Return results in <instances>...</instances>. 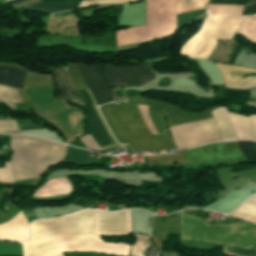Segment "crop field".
Masks as SVG:
<instances>
[{
    "instance_id": "crop-field-25",
    "label": "crop field",
    "mask_w": 256,
    "mask_h": 256,
    "mask_svg": "<svg viewBox=\"0 0 256 256\" xmlns=\"http://www.w3.org/2000/svg\"><path fill=\"white\" fill-rule=\"evenodd\" d=\"M136 243L132 245L130 253L134 256H143L141 253L149 246L147 236L136 235Z\"/></svg>"
},
{
    "instance_id": "crop-field-16",
    "label": "crop field",
    "mask_w": 256,
    "mask_h": 256,
    "mask_svg": "<svg viewBox=\"0 0 256 256\" xmlns=\"http://www.w3.org/2000/svg\"><path fill=\"white\" fill-rule=\"evenodd\" d=\"M211 114L220 129L222 141L236 140L227 110L218 108L212 111Z\"/></svg>"
},
{
    "instance_id": "crop-field-1",
    "label": "crop field",
    "mask_w": 256,
    "mask_h": 256,
    "mask_svg": "<svg viewBox=\"0 0 256 256\" xmlns=\"http://www.w3.org/2000/svg\"><path fill=\"white\" fill-rule=\"evenodd\" d=\"M66 234L129 235L130 210H84L58 219L36 221L31 225V239ZM129 248V245L104 242L100 240V236L91 235L39 238L23 243L24 256H51L61 252H97L128 256Z\"/></svg>"
},
{
    "instance_id": "crop-field-37",
    "label": "crop field",
    "mask_w": 256,
    "mask_h": 256,
    "mask_svg": "<svg viewBox=\"0 0 256 256\" xmlns=\"http://www.w3.org/2000/svg\"><path fill=\"white\" fill-rule=\"evenodd\" d=\"M55 256H63V254L61 253V254H58V255H55Z\"/></svg>"
},
{
    "instance_id": "crop-field-31",
    "label": "crop field",
    "mask_w": 256,
    "mask_h": 256,
    "mask_svg": "<svg viewBox=\"0 0 256 256\" xmlns=\"http://www.w3.org/2000/svg\"><path fill=\"white\" fill-rule=\"evenodd\" d=\"M135 0H89L83 2L79 8L86 7L94 4H111V3H124V2H130Z\"/></svg>"
},
{
    "instance_id": "crop-field-6",
    "label": "crop field",
    "mask_w": 256,
    "mask_h": 256,
    "mask_svg": "<svg viewBox=\"0 0 256 256\" xmlns=\"http://www.w3.org/2000/svg\"><path fill=\"white\" fill-rule=\"evenodd\" d=\"M181 153L188 165L245 161L236 142L209 144Z\"/></svg>"
},
{
    "instance_id": "crop-field-29",
    "label": "crop field",
    "mask_w": 256,
    "mask_h": 256,
    "mask_svg": "<svg viewBox=\"0 0 256 256\" xmlns=\"http://www.w3.org/2000/svg\"><path fill=\"white\" fill-rule=\"evenodd\" d=\"M5 167L0 168V182L9 183L13 182L11 165L9 162H3Z\"/></svg>"
},
{
    "instance_id": "crop-field-4",
    "label": "crop field",
    "mask_w": 256,
    "mask_h": 256,
    "mask_svg": "<svg viewBox=\"0 0 256 256\" xmlns=\"http://www.w3.org/2000/svg\"><path fill=\"white\" fill-rule=\"evenodd\" d=\"M176 29V0H146V26L116 30L117 46L171 35Z\"/></svg>"
},
{
    "instance_id": "crop-field-34",
    "label": "crop field",
    "mask_w": 256,
    "mask_h": 256,
    "mask_svg": "<svg viewBox=\"0 0 256 256\" xmlns=\"http://www.w3.org/2000/svg\"><path fill=\"white\" fill-rule=\"evenodd\" d=\"M18 126H23V125H36L31 119H24V120H16Z\"/></svg>"
},
{
    "instance_id": "crop-field-23",
    "label": "crop field",
    "mask_w": 256,
    "mask_h": 256,
    "mask_svg": "<svg viewBox=\"0 0 256 256\" xmlns=\"http://www.w3.org/2000/svg\"><path fill=\"white\" fill-rule=\"evenodd\" d=\"M0 99L10 103L22 102L16 89L2 85H0Z\"/></svg>"
},
{
    "instance_id": "crop-field-13",
    "label": "crop field",
    "mask_w": 256,
    "mask_h": 256,
    "mask_svg": "<svg viewBox=\"0 0 256 256\" xmlns=\"http://www.w3.org/2000/svg\"><path fill=\"white\" fill-rule=\"evenodd\" d=\"M28 238V223L22 212H20L11 221L0 225V239L25 241Z\"/></svg>"
},
{
    "instance_id": "crop-field-32",
    "label": "crop field",
    "mask_w": 256,
    "mask_h": 256,
    "mask_svg": "<svg viewBox=\"0 0 256 256\" xmlns=\"http://www.w3.org/2000/svg\"><path fill=\"white\" fill-rule=\"evenodd\" d=\"M18 131L15 121H0V133Z\"/></svg>"
},
{
    "instance_id": "crop-field-14",
    "label": "crop field",
    "mask_w": 256,
    "mask_h": 256,
    "mask_svg": "<svg viewBox=\"0 0 256 256\" xmlns=\"http://www.w3.org/2000/svg\"><path fill=\"white\" fill-rule=\"evenodd\" d=\"M230 118L237 140L251 139L256 141V115L246 117L230 114Z\"/></svg>"
},
{
    "instance_id": "crop-field-27",
    "label": "crop field",
    "mask_w": 256,
    "mask_h": 256,
    "mask_svg": "<svg viewBox=\"0 0 256 256\" xmlns=\"http://www.w3.org/2000/svg\"><path fill=\"white\" fill-rule=\"evenodd\" d=\"M138 108H139V111L141 113V116L147 126V128L149 129L150 133L151 134H155V135H158L157 132H156V129L148 115V106H144V105H137Z\"/></svg>"
},
{
    "instance_id": "crop-field-26",
    "label": "crop field",
    "mask_w": 256,
    "mask_h": 256,
    "mask_svg": "<svg viewBox=\"0 0 256 256\" xmlns=\"http://www.w3.org/2000/svg\"><path fill=\"white\" fill-rule=\"evenodd\" d=\"M159 135L169 136L163 114H150Z\"/></svg>"
},
{
    "instance_id": "crop-field-12",
    "label": "crop field",
    "mask_w": 256,
    "mask_h": 256,
    "mask_svg": "<svg viewBox=\"0 0 256 256\" xmlns=\"http://www.w3.org/2000/svg\"><path fill=\"white\" fill-rule=\"evenodd\" d=\"M52 79L58 97L71 100L84 106L83 101L77 92V89L73 85L66 68L53 71Z\"/></svg>"
},
{
    "instance_id": "crop-field-3",
    "label": "crop field",
    "mask_w": 256,
    "mask_h": 256,
    "mask_svg": "<svg viewBox=\"0 0 256 256\" xmlns=\"http://www.w3.org/2000/svg\"><path fill=\"white\" fill-rule=\"evenodd\" d=\"M181 239L250 249L256 246V226L238 222L209 226L206 222L180 213Z\"/></svg>"
},
{
    "instance_id": "crop-field-30",
    "label": "crop field",
    "mask_w": 256,
    "mask_h": 256,
    "mask_svg": "<svg viewBox=\"0 0 256 256\" xmlns=\"http://www.w3.org/2000/svg\"><path fill=\"white\" fill-rule=\"evenodd\" d=\"M222 252L230 253V254H236V255H242V256H256L255 251H249V250H243V249H237V248H230V247H224V246H222Z\"/></svg>"
},
{
    "instance_id": "crop-field-18",
    "label": "crop field",
    "mask_w": 256,
    "mask_h": 256,
    "mask_svg": "<svg viewBox=\"0 0 256 256\" xmlns=\"http://www.w3.org/2000/svg\"><path fill=\"white\" fill-rule=\"evenodd\" d=\"M79 1H64V2H46L41 1L31 5H27V10H43L50 13L64 11L72 8H77Z\"/></svg>"
},
{
    "instance_id": "crop-field-36",
    "label": "crop field",
    "mask_w": 256,
    "mask_h": 256,
    "mask_svg": "<svg viewBox=\"0 0 256 256\" xmlns=\"http://www.w3.org/2000/svg\"><path fill=\"white\" fill-rule=\"evenodd\" d=\"M20 131L22 130H31V129H40L38 126H32V127H19Z\"/></svg>"
},
{
    "instance_id": "crop-field-35",
    "label": "crop field",
    "mask_w": 256,
    "mask_h": 256,
    "mask_svg": "<svg viewBox=\"0 0 256 256\" xmlns=\"http://www.w3.org/2000/svg\"><path fill=\"white\" fill-rule=\"evenodd\" d=\"M0 246H21L19 243H8L4 241H0Z\"/></svg>"
},
{
    "instance_id": "crop-field-8",
    "label": "crop field",
    "mask_w": 256,
    "mask_h": 256,
    "mask_svg": "<svg viewBox=\"0 0 256 256\" xmlns=\"http://www.w3.org/2000/svg\"><path fill=\"white\" fill-rule=\"evenodd\" d=\"M86 108L89 131L102 150L119 146L111 136L88 89L79 91Z\"/></svg>"
},
{
    "instance_id": "crop-field-15",
    "label": "crop field",
    "mask_w": 256,
    "mask_h": 256,
    "mask_svg": "<svg viewBox=\"0 0 256 256\" xmlns=\"http://www.w3.org/2000/svg\"><path fill=\"white\" fill-rule=\"evenodd\" d=\"M71 190L70 183L66 178L49 180L41 187L34 197H49L68 194Z\"/></svg>"
},
{
    "instance_id": "crop-field-21",
    "label": "crop field",
    "mask_w": 256,
    "mask_h": 256,
    "mask_svg": "<svg viewBox=\"0 0 256 256\" xmlns=\"http://www.w3.org/2000/svg\"><path fill=\"white\" fill-rule=\"evenodd\" d=\"M210 4L245 5L241 15L256 14V0H211Z\"/></svg>"
},
{
    "instance_id": "crop-field-7",
    "label": "crop field",
    "mask_w": 256,
    "mask_h": 256,
    "mask_svg": "<svg viewBox=\"0 0 256 256\" xmlns=\"http://www.w3.org/2000/svg\"><path fill=\"white\" fill-rule=\"evenodd\" d=\"M224 16L207 15L200 31L187 41L180 54L207 60L218 40L211 38Z\"/></svg>"
},
{
    "instance_id": "crop-field-9",
    "label": "crop field",
    "mask_w": 256,
    "mask_h": 256,
    "mask_svg": "<svg viewBox=\"0 0 256 256\" xmlns=\"http://www.w3.org/2000/svg\"><path fill=\"white\" fill-rule=\"evenodd\" d=\"M105 73L110 86H138L155 78L147 65L135 67L105 65Z\"/></svg>"
},
{
    "instance_id": "crop-field-20",
    "label": "crop field",
    "mask_w": 256,
    "mask_h": 256,
    "mask_svg": "<svg viewBox=\"0 0 256 256\" xmlns=\"http://www.w3.org/2000/svg\"><path fill=\"white\" fill-rule=\"evenodd\" d=\"M228 216L256 224V198H250L241 207Z\"/></svg>"
},
{
    "instance_id": "crop-field-24",
    "label": "crop field",
    "mask_w": 256,
    "mask_h": 256,
    "mask_svg": "<svg viewBox=\"0 0 256 256\" xmlns=\"http://www.w3.org/2000/svg\"><path fill=\"white\" fill-rule=\"evenodd\" d=\"M237 143L248 162L256 160V143L247 141H240Z\"/></svg>"
},
{
    "instance_id": "crop-field-28",
    "label": "crop field",
    "mask_w": 256,
    "mask_h": 256,
    "mask_svg": "<svg viewBox=\"0 0 256 256\" xmlns=\"http://www.w3.org/2000/svg\"><path fill=\"white\" fill-rule=\"evenodd\" d=\"M84 158H85V151L71 148V147L69 148L68 162L84 164Z\"/></svg>"
},
{
    "instance_id": "crop-field-22",
    "label": "crop field",
    "mask_w": 256,
    "mask_h": 256,
    "mask_svg": "<svg viewBox=\"0 0 256 256\" xmlns=\"http://www.w3.org/2000/svg\"><path fill=\"white\" fill-rule=\"evenodd\" d=\"M209 1L210 0H189L186 5V0H177V14L207 7Z\"/></svg>"
},
{
    "instance_id": "crop-field-2",
    "label": "crop field",
    "mask_w": 256,
    "mask_h": 256,
    "mask_svg": "<svg viewBox=\"0 0 256 256\" xmlns=\"http://www.w3.org/2000/svg\"><path fill=\"white\" fill-rule=\"evenodd\" d=\"M112 106H101L100 111L113 136L120 143L127 141L134 152L174 147L171 140L149 134L135 102Z\"/></svg>"
},
{
    "instance_id": "crop-field-10",
    "label": "crop field",
    "mask_w": 256,
    "mask_h": 256,
    "mask_svg": "<svg viewBox=\"0 0 256 256\" xmlns=\"http://www.w3.org/2000/svg\"><path fill=\"white\" fill-rule=\"evenodd\" d=\"M87 83L93 97L98 105L109 102L107 98L113 96V93L106 85L102 76V66H85L75 64Z\"/></svg>"
},
{
    "instance_id": "crop-field-11",
    "label": "crop field",
    "mask_w": 256,
    "mask_h": 256,
    "mask_svg": "<svg viewBox=\"0 0 256 256\" xmlns=\"http://www.w3.org/2000/svg\"><path fill=\"white\" fill-rule=\"evenodd\" d=\"M216 65L222 74L226 87L235 89L256 87V77H247L243 79V77L241 76L244 74L256 73V70L243 67L228 66L223 64Z\"/></svg>"
},
{
    "instance_id": "crop-field-33",
    "label": "crop field",
    "mask_w": 256,
    "mask_h": 256,
    "mask_svg": "<svg viewBox=\"0 0 256 256\" xmlns=\"http://www.w3.org/2000/svg\"><path fill=\"white\" fill-rule=\"evenodd\" d=\"M80 141L85 145L86 148L101 150L99 146L94 142L90 135L80 137Z\"/></svg>"
},
{
    "instance_id": "crop-field-19",
    "label": "crop field",
    "mask_w": 256,
    "mask_h": 256,
    "mask_svg": "<svg viewBox=\"0 0 256 256\" xmlns=\"http://www.w3.org/2000/svg\"><path fill=\"white\" fill-rule=\"evenodd\" d=\"M244 17L225 16L222 23L213 35L214 38H231Z\"/></svg>"
},
{
    "instance_id": "crop-field-17",
    "label": "crop field",
    "mask_w": 256,
    "mask_h": 256,
    "mask_svg": "<svg viewBox=\"0 0 256 256\" xmlns=\"http://www.w3.org/2000/svg\"><path fill=\"white\" fill-rule=\"evenodd\" d=\"M25 73L23 70L0 66V84L22 89Z\"/></svg>"
},
{
    "instance_id": "crop-field-5",
    "label": "crop field",
    "mask_w": 256,
    "mask_h": 256,
    "mask_svg": "<svg viewBox=\"0 0 256 256\" xmlns=\"http://www.w3.org/2000/svg\"><path fill=\"white\" fill-rule=\"evenodd\" d=\"M178 150L221 141L214 119L168 128Z\"/></svg>"
}]
</instances>
